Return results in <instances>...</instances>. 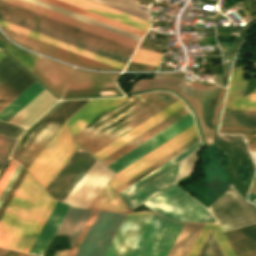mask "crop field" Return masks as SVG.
Returning <instances> with one entry per match:
<instances>
[{
    "mask_svg": "<svg viewBox=\"0 0 256 256\" xmlns=\"http://www.w3.org/2000/svg\"><path fill=\"white\" fill-rule=\"evenodd\" d=\"M55 203L26 172L0 219V247L27 254Z\"/></svg>",
    "mask_w": 256,
    "mask_h": 256,
    "instance_id": "obj_1",
    "label": "crop field"
},
{
    "mask_svg": "<svg viewBox=\"0 0 256 256\" xmlns=\"http://www.w3.org/2000/svg\"><path fill=\"white\" fill-rule=\"evenodd\" d=\"M152 213L141 212L131 215ZM125 217L104 256H130L150 216ZM183 224H175L153 214L131 256H166Z\"/></svg>",
    "mask_w": 256,
    "mask_h": 256,
    "instance_id": "obj_2",
    "label": "crop field"
},
{
    "mask_svg": "<svg viewBox=\"0 0 256 256\" xmlns=\"http://www.w3.org/2000/svg\"><path fill=\"white\" fill-rule=\"evenodd\" d=\"M176 99H178L176 96L168 92H152V93H144V94L132 96L123 104L115 108L114 110L103 114L88 128L74 135L72 138L74 141H76L79 145H81L83 148H85L88 152L92 154L96 150L100 149L110 141L114 140L121 134L125 133L126 131H128L135 125L139 124L146 118L150 117L157 111L161 110L162 108H164L171 102L175 101ZM134 101L136 102L130 108L118 114L119 112L127 108L130 104H132ZM129 112L131 113L121 123L111 126L105 130H102L103 128L119 121ZM111 116H114V117L104 121L105 119ZM102 121H104L102 124H100L98 127L90 131L93 127H95L98 123ZM127 121L129 122L124 124L121 128L114 130L116 127L120 126L121 124ZM112 130L114 131L111 132Z\"/></svg>",
    "mask_w": 256,
    "mask_h": 256,
    "instance_id": "obj_3",
    "label": "crop field"
},
{
    "mask_svg": "<svg viewBox=\"0 0 256 256\" xmlns=\"http://www.w3.org/2000/svg\"><path fill=\"white\" fill-rule=\"evenodd\" d=\"M0 12L130 58L134 48L0 0Z\"/></svg>",
    "mask_w": 256,
    "mask_h": 256,
    "instance_id": "obj_4",
    "label": "crop field"
},
{
    "mask_svg": "<svg viewBox=\"0 0 256 256\" xmlns=\"http://www.w3.org/2000/svg\"><path fill=\"white\" fill-rule=\"evenodd\" d=\"M143 204L176 222H215L204 207L174 184Z\"/></svg>",
    "mask_w": 256,
    "mask_h": 256,
    "instance_id": "obj_5",
    "label": "crop field"
},
{
    "mask_svg": "<svg viewBox=\"0 0 256 256\" xmlns=\"http://www.w3.org/2000/svg\"><path fill=\"white\" fill-rule=\"evenodd\" d=\"M73 142L64 122L26 170L45 188L79 147Z\"/></svg>",
    "mask_w": 256,
    "mask_h": 256,
    "instance_id": "obj_6",
    "label": "crop field"
},
{
    "mask_svg": "<svg viewBox=\"0 0 256 256\" xmlns=\"http://www.w3.org/2000/svg\"><path fill=\"white\" fill-rule=\"evenodd\" d=\"M200 146H201L200 142H197L196 144L192 145L185 151L181 152L174 158L170 159L169 161H167L163 165L159 166L158 168L153 170L151 173H149L145 177H143L140 180H138L137 182L131 184L130 186L123 189L122 191H120L117 194L119 195V197L123 200V202L126 204V206L130 210L134 209L141 203L145 202L146 200H148L149 198H151L152 196H154L161 190L165 189L166 187H168L169 185L174 183L175 179H176L179 161L182 160L184 157H186L188 154H190L191 152H193ZM175 164H177V165H175ZM172 166H174V167L171 168L169 171L154 178L153 180L147 182L142 187L137 189L146 180L154 177L155 175L161 173L162 171H164ZM135 189H137V190L135 192H133ZM130 193H132V194H130ZM126 196H128V197H126Z\"/></svg>",
    "mask_w": 256,
    "mask_h": 256,
    "instance_id": "obj_7",
    "label": "crop field"
},
{
    "mask_svg": "<svg viewBox=\"0 0 256 256\" xmlns=\"http://www.w3.org/2000/svg\"><path fill=\"white\" fill-rule=\"evenodd\" d=\"M223 88L208 83L184 81L180 95L188 100L196 111L207 144H212L214 125Z\"/></svg>",
    "mask_w": 256,
    "mask_h": 256,
    "instance_id": "obj_8",
    "label": "crop field"
},
{
    "mask_svg": "<svg viewBox=\"0 0 256 256\" xmlns=\"http://www.w3.org/2000/svg\"><path fill=\"white\" fill-rule=\"evenodd\" d=\"M86 101L87 100L66 101L53 114H51L46 120H44L29 134V136L23 143L22 147L20 148L19 152L13 159L19 161L26 169L27 166L31 163V161L35 158V156L39 153V151L43 148V146L48 142V140L60 127V125ZM43 124L45 125L35 134L32 141L25 148L30 137Z\"/></svg>",
    "mask_w": 256,
    "mask_h": 256,
    "instance_id": "obj_9",
    "label": "crop field"
},
{
    "mask_svg": "<svg viewBox=\"0 0 256 256\" xmlns=\"http://www.w3.org/2000/svg\"><path fill=\"white\" fill-rule=\"evenodd\" d=\"M224 231L256 222V206L247 203L231 186L208 207Z\"/></svg>",
    "mask_w": 256,
    "mask_h": 256,
    "instance_id": "obj_10",
    "label": "crop field"
},
{
    "mask_svg": "<svg viewBox=\"0 0 256 256\" xmlns=\"http://www.w3.org/2000/svg\"><path fill=\"white\" fill-rule=\"evenodd\" d=\"M196 136H198L197 131L195 129V126L192 125L191 127L179 133L161 146L149 152L142 158L138 159L131 165L116 173L109 181V184L114 189L117 188L121 184L125 183L135 175L139 174L140 172L153 165L154 163L167 156L168 154L181 147Z\"/></svg>",
    "mask_w": 256,
    "mask_h": 256,
    "instance_id": "obj_11",
    "label": "crop field"
},
{
    "mask_svg": "<svg viewBox=\"0 0 256 256\" xmlns=\"http://www.w3.org/2000/svg\"><path fill=\"white\" fill-rule=\"evenodd\" d=\"M118 74L95 73L75 68L63 97L114 95Z\"/></svg>",
    "mask_w": 256,
    "mask_h": 256,
    "instance_id": "obj_12",
    "label": "crop field"
},
{
    "mask_svg": "<svg viewBox=\"0 0 256 256\" xmlns=\"http://www.w3.org/2000/svg\"><path fill=\"white\" fill-rule=\"evenodd\" d=\"M112 175V172L96 160L64 202L87 208Z\"/></svg>",
    "mask_w": 256,
    "mask_h": 256,
    "instance_id": "obj_13",
    "label": "crop field"
},
{
    "mask_svg": "<svg viewBox=\"0 0 256 256\" xmlns=\"http://www.w3.org/2000/svg\"><path fill=\"white\" fill-rule=\"evenodd\" d=\"M2 30L12 39L14 42L31 50L39 51L47 55L53 56L61 61H65L70 64H75L87 68L103 69V70H118L116 68L104 65L102 63L90 60L88 58L76 55L74 53L62 50L60 48L48 45L46 43L34 40L32 38L20 35L18 33L6 30Z\"/></svg>",
    "mask_w": 256,
    "mask_h": 256,
    "instance_id": "obj_14",
    "label": "crop field"
},
{
    "mask_svg": "<svg viewBox=\"0 0 256 256\" xmlns=\"http://www.w3.org/2000/svg\"><path fill=\"white\" fill-rule=\"evenodd\" d=\"M192 124L194 122L190 113L107 167L115 173L118 172Z\"/></svg>",
    "mask_w": 256,
    "mask_h": 256,
    "instance_id": "obj_15",
    "label": "crop field"
},
{
    "mask_svg": "<svg viewBox=\"0 0 256 256\" xmlns=\"http://www.w3.org/2000/svg\"><path fill=\"white\" fill-rule=\"evenodd\" d=\"M4 1L9 2V3H12V4H15V5H18V6H20V7L29 9V10H31V11H34V12H37V13H40V14H43V15H45V16L54 18V19H56V20L65 22V23H67V24H70V25L79 27V28H81V29L90 31V32H92V33H95V34L104 36V37H106V38L115 40V41H117V42H120V43L129 45V46L134 47V48H136V46H137V44H138V41H135V40H133V39H130V38L121 36V35H119V34H116V33L110 32V31H107V30H105V29H102V28H99V27H96V26H93V25H91V24L82 22V21H80V20H77V19L68 17V16H66V15H63V14L54 12V11H52V10H49V9H46V8H43V7H40V6H38V5L29 3V2L24 1V0H4Z\"/></svg>",
    "mask_w": 256,
    "mask_h": 256,
    "instance_id": "obj_16",
    "label": "crop field"
},
{
    "mask_svg": "<svg viewBox=\"0 0 256 256\" xmlns=\"http://www.w3.org/2000/svg\"><path fill=\"white\" fill-rule=\"evenodd\" d=\"M127 98L115 99H91L83 105L68 121V127L71 135L91 124L100 114L114 109ZM73 137V136H72Z\"/></svg>",
    "mask_w": 256,
    "mask_h": 256,
    "instance_id": "obj_17",
    "label": "crop field"
},
{
    "mask_svg": "<svg viewBox=\"0 0 256 256\" xmlns=\"http://www.w3.org/2000/svg\"><path fill=\"white\" fill-rule=\"evenodd\" d=\"M202 224H184L167 256H185ZM213 224H203L186 256H196Z\"/></svg>",
    "mask_w": 256,
    "mask_h": 256,
    "instance_id": "obj_18",
    "label": "crop field"
},
{
    "mask_svg": "<svg viewBox=\"0 0 256 256\" xmlns=\"http://www.w3.org/2000/svg\"><path fill=\"white\" fill-rule=\"evenodd\" d=\"M71 69L72 66L51 61L40 56L32 74L60 96Z\"/></svg>",
    "mask_w": 256,
    "mask_h": 256,
    "instance_id": "obj_19",
    "label": "crop field"
},
{
    "mask_svg": "<svg viewBox=\"0 0 256 256\" xmlns=\"http://www.w3.org/2000/svg\"><path fill=\"white\" fill-rule=\"evenodd\" d=\"M183 106H185V104L182 101H180L179 99L176 100L169 106L165 107L164 109H162L161 111H159L158 113H156L155 115H153L152 117L144 121L143 123L139 124L129 132H126L121 137L117 138L116 140L109 143L108 145H106L105 147H103L102 149H100L99 151L95 152L92 155H94L99 160L102 159L103 157L107 156L117 148L121 147L128 141L132 140L133 138L143 133L153 125L157 124L164 118L168 117L169 115H171L178 109L182 108Z\"/></svg>",
    "mask_w": 256,
    "mask_h": 256,
    "instance_id": "obj_20",
    "label": "crop field"
},
{
    "mask_svg": "<svg viewBox=\"0 0 256 256\" xmlns=\"http://www.w3.org/2000/svg\"><path fill=\"white\" fill-rule=\"evenodd\" d=\"M0 26H1V27H4V28H6V29H9V30L18 32V33H20V34H23V35L32 37V38H34V39H37V40L46 42V43H48V44H51V45L60 47V48H62V49H65V50L74 52V53H76V54H79V55L88 57V58H90V59H93V60L102 62V63H104V64H107V65L116 67V68L121 69V70H123L124 67H125V64H122V63H120V62H117V61L108 59V58H106V57H103V56L94 54V53H92V52H89V51L80 49V48H78V47H75V46L66 44V43H64V42L55 40V39H53V38H50V37L41 35V34H39V33L30 31V30H27V29H25V28H22V27L13 25V24H11V23H8V22L2 21V20H0Z\"/></svg>",
    "mask_w": 256,
    "mask_h": 256,
    "instance_id": "obj_21",
    "label": "crop field"
},
{
    "mask_svg": "<svg viewBox=\"0 0 256 256\" xmlns=\"http://www.w3.org/2000/svg\"><path fill=\"white\" fill-rule=\"evenodd\" d=\"M247 81H242V67L233 69L223 109L256 110V98L243 97Z\"/></svg>",
    "mask_w": 256,
    "mask_h": 256,
    "instance_id": "obj_22",
    "label": "crop field"
},
{
    "mask_svg": "<svg viewBox=\"0 0 256 256\" xmlns=\"http://www.w3.org/2000/svg\"><path fill=\"white\" fill-rule=\"evenodd\" d=\"M0 19L5 20V21H8V22H11V23H13V24H16V25H19V26H22V27H25V28H27V29H30V30H33V31H36V32H39V33H41V34H44V35L53 37V38H55V39L64 41V42H66V43H69V44L78 46V47H80V48H83V49L92 51V52H94V53H97V54L106 56V57H108V58H111V59L120 61V62L125 63V64H126L127 61H128V58H125V57H123V56H120V55L111 53V52H109V51H106V50L97 48V47H95V46H92V45L83 43V42H81V41H78V40L72 39V38H70V37H67V36L58 34V33H56V32H53V31L44 29V28H42V27L33 25V24H31V23H28V22L19 20V19H17V18H14V17L8 16V15H5V14H3V13H0Z\"/></svg>",
    "mask_w": 256,
    "mask_h": 256,
    "instance_id": "obj_23",
    "label": "crop field"
},
{
    "mask_svg": "<svg viewBox=\"0 0 256 256\" xmlns=\"http://www.w3.org/2000/svg\"><path fill=\"white\" fill-rule=\"evenodd\" d=\"M69 206H66L57 201L54 209L52 210L49 218L47 219L44 227L42 228L39 236L37 237L34 245L32 246L29 254L35 256H42L65 214ZM28 254V253H27Z\"/></svg>",
    "mask_w": 256,
    "mask_h": 256,
    "instance_id": "obj_24",
    "label": "crop field"
},
{
    "mask_svg": "<svg viewBox=\"0 0 256 256\" xmlns=\"http://www.w3.org/2000/svg\"><path fill=\"white\" fill-rule=\"evenodd\" d=\"M61 1L67 2L69 4L81 7L83 9L95 12L97 14L109 17L111 19L123 22L125 24L137 27L145 31H147L150 26L148 21L111 9L109 7L97 4L89 0H61Z\"/></svg>",
    "mask_w": 256,
    "mask_h": 256,
    "instance_id": "obj_25",
    "label": "crop field"
},
{
    "mask_svg": "<svg viewBox=\"0 0 256 256\" xmlns=\"http://www.w3.org/2000/svg\"><path fill=\"white\" fill-rule=\"evenodd\" d=\"M224 233L237 256H256V224Z\"/></svg>",
    "mask_w": 256,
    "mask_h": 256,
    "instance_id": "obj_26",
    "label": "crop field"
},
{
    "mask_svg": "<svg viewBox=\"0 0 256 256\" xmlns=\"http://www.w3.org/2000/svg\"><path fill=\"white\" fill-rule=\"evenodd\" d=\"M56 101L57 100L55 98H53L48 92L44 90L13 119H11L9 123L23 127H29L35 119H37Z\"/></svg>",
    "mask_w": 256,
    "mask_h": 256,
    "instance_id": "obj_27",
    "label": "crop field"
},
{
    "mask_svg": "<svg viewBox=\"0 0 256 256\" xmlns=\"http://www.w3.org/2000/svg\"><path fill=\"white\" fill-rule=\"evenodd\" d=\"M183 108L185 109L186 112L183 110ZM183 108L180 109L179 111L175 112L174 114H172L171 116H169V117L166 118L165 120L161 121L160 123H158V124L155 125L154 127L150 128L149 130H147L146 132H144V133L141 134L140 136L136 137L135 139H133V140L130 141L129 143L125 144L124 146H122L121 148H119L118 150H116L115 152H113V153H111L110 155H108V156L111 157L112 159L115 158L116 156H118L119 154H121L122 152H124L125 150H127L128 148L132 147L133 145H135L136 143H138L139 141H141L142 139H144L145 137H147L148 135H150L151 133H153L154 131H156L157 129H159L160 127H162L163 125H165L166 123L170 122L171 120H173L174 118H176L177 116H179L180 114H182L183 112H185V113H183L182 115H180L179 117H177L176 119H174L173 121H171L170 123L166 124L165 126H163L162 128H160L159 130H157L156 132H154L153 134H151L150 136H148L147 138H145L144 140H142L141 142H139L138 144H136L135 146H133L132 148L128 149L127 151H125L124 153H122L121 155H119L118 157H116L115 159L112 160L111 158H109V157L107 156V157L103 158V159L100 160V161H101L102 163H104L106 166L109 165L110 163H112L113 161L117 160L118 158H120L121 156H123L124 154H126L127 152L131 151L132 149H134L135 147H137V146L140 145L141 143L145 142L146 140H148L149 138H151V137L154 136L155 134L159 133L160 131H162L163 129H165L166 127H168L169 125L173 124L174 122H176L177 120H179V119L182 118L183 116H185V115H187L188 113H190L189 110L186 108V106L183 107Z\"/></svg>",
    "mask_w": 256,
    "mask_h": 256,
    "instance_id": "obj_28",
    "label": "crop field"
},
{
    "mask_svg": "<svg viewBox=\"0 0 256 256\" xmlns=\"http://www.w3.org/2000/svg\"><path fill=\"white\" fill-rule=\"evenodd\" d=\"M35 80L21 68L0 86V111Z\"/></svg>",
    "mask_w": 256,
    "mask_h": 256,
    "instance_id": "obj_29",
    "label": "crop field"
},
{
    "mask_svg": "<svg viewBox=\"0 0 256 256\" xmlns=\"http://www.w3.org/2000/svg\"><path fill=\"white\" fill-rule=\"evenodd\" d=\"M88 208L120 213L130 212L108 183Z\"/></svg>",
    "mask_w": 256,
    "mask_h": 256,
    "instance_id": "obj_30",
    "label": "crop field"
},
{
    "mask_svg": "<svg viewBox=\"0 0 256 256\" xmlns=\"http://www.w3.org/2000/svg\"><path fill=\"white\" fill-rule=\"evenodd\" d=\"M44 89L35 81L0 112V119L8 122Z\"/></svg>",
    "mask_w": 256,
    "mask_h": 256,
    "instance_id": "obj_31",
    "label": "crop field"
},
{
    "mask_svg": "<svg viewBox=\"0 0 256 256\" xmlns=\"http://www.w3.org/2000/svg\"><path fill=\"white\" fill-rule=\"evenodd\" d=\"M181 76L174 74H155L153 79L140 80L136 82L131 89V92L152 89V88H169L176 92L179 91Z\"/></svg>",
    "mask_w": 256,
    "mask_h": 256,
    "instance_id": "obj_32",
    "label": "crop field"
},
{
    "mask_svg": "<svg viewBox=\"0 0 256 256\" xmlns=\"http://www.w3.org/2000/svg\"><path fill=\"white\" fill-rule=\"evenodd\" d=\"M220 126L256 127V111L223 110Z\"/></svg>",
    "mask_w": 256,
    "mask_h": 256,
    "instance_id": "obj_33",
    "label": "crop field"
},
{
    "mask_svg": "<svg viewBox=\"0 0 256 256\" xmlns=\"http://www.w3.org/2000/svg\"><path fill=\"white\" fill-rule=\"evenodd\" d=\"M27 1L32 2V3H35V4H38V5H40V6H43V7L49 8V9H52V10H54V11H57V12H60V13H63V14H66V15H68V16H71V17L80 19V20H82V21L91 23V24H93V25H96V26L105 28V29H107V30H110V31L119 33V34H121V35L130 37V38H133V39L138 40V41H140V39H141V36H138V35H135V34H133V33H130V32L121 30V29H119V28H116V27H113V26L104 24V23H102V22H99V21H96V20L87 18V17H85V16H82V15H79V14H76V13H73V12H71V11H68V10H65V9H62V8H59V7H56V6H54V5H51V4L42 2V1H40V0H27Z\"/></svg>",
    "mask_w": 256,
    "mask_h": 256,
    "instance_id": "obj_34",
    "label": "crop field"
},
{
    "mask_svg": "<svg viewBox=\"0 0 256 256\" xmlns=\"http://www.w3.org/2000/svg\"><path fill=\"white\" fill-rule=\"evenodd\" d=\"M42 1H45V2H48V3L54 4V5H56V6H59V7L68 9V10H71V11H73V12H76V13H79V14H82V15H85V16H87V17H90V18H93V19L102 21V22H104V23H107V24H110V25L119 27V28H121V29L130 31V32H133V33L138 34V35H141V36H143L144 33H145V31L139 30V29H137V28H134V27L125 25V24H123V23H120V22L111 20V19H109V18H106V17L100 16V15H97V14H95V13H92V12H89V11H86V10H83V9H81V8H78V7L69 5V4H67V3H64V2H61V1H58V0H42Z\"/></svg>",
    "mask_w": 256,
    "mask_h": 256,
    "instance_id": "obj_35",
    "label": "crop field"
},
{
    "mask_svg": "<svg viewBox=\"0 0 256 256\" xmlns=\"http://www.w3.org/2000/svg\"><path fill=\"white\" fill-rule=\"evenodd\" d=\"M92 1L101 3L103 5L115 8L117 10L129 13L131 15H134L149 21L148 13L137 9L138 6H141L147 9L148 7L138 4L139 2H136L134 0H92Z\"/></svg>",
    "mask_w": 256,
    "mask_h": 256,
    "instance_id": "obj_36",
    "label": "crop field"
},
{
    "mask_svg": "<svg viewBox=\"0 0 256 256\" xmlns=\"http://www.w3.org/2000/svg\"><path fill=\"white\" fill-rule=\"evenodd\" d=\"M4 49L9 52L16 60H18L26 69L32 72L39 55H33L24 52L14 47L10 42H7Z\"/></svg>",
    "mask_w": 256,
    "mask_h": 256,
    "instance_id": "obj_37",
    "label": "crop field"
},
{
    "mask_svg": "<svg viewBox=\"0 0 256 256\" xmlns=\"http://www.w3.org/2000/svg\"><path fill=\"white\" fill-rule=\"evenodd\" d=\"M219 133L243 134L250 151H256V128L220 127Z\"/></svg>",
    "mask_w": 256,
    "mask_h": 256,
    "instance_id": "obj_38",
    "label": "crop field"
},
{
    "mask_svg": "<svg viewBox=\"0 0 256 256\" xmlns=\"http://www.w3.org/2000/svg\"><path fill=\"white\" fill-rule=\"evenodd\" d=\"M161 59H162L161 53L137 49L131 61L158 67Z\"/></svg>",
    "mask_w": 256,
    "mask_h": 256,
    "instance_id": "obj_39",
    "label": "crop field"
},
{
    "mask_svg": "<svg viewBox=\"0 0 256 256\" xmlns=\"http://www.w3.org/2000/svg\"><path fill=\"white\" fill-rule=\"evenodd\" d=\"M19 68L20 67L15 62H13L7 55L3 59H1L0 60V85L5 80H7Z\"/></svg>",
    "mask_w": 256,
    "mask_h": 256,
    "instance_id": "obj_40",
    "label": "crop field"
},
{
    "mask_svg": "<svg viewBox=\"0 0 256 256\" xmlns=\"http://www.w3.org/2000/svg\"><path fill=\"white\" fill-rule=\"evenodd\" d=\"M197 141H199V138L196 137L195 139H193L192 141L188 142L187 144H185L184 146H182L181 148H179L178 150L174 151L173 153H171L170 155H168L167 157H165L164 159L160 160L159 162H157L156 164H154L153 166H151L150 168L146 169L145 171H143L142 173H140L139 175H137L136 177L132 178L131 180H129L128 182H126L125 184H123L122 186L118 187L117 189H115L116 193L119 192L120 190H122L123 188H125L126 186L130 185L137 177H139L140 175L148 172L149 170L161 165L162 163L166 162L167 160H169L170 158H172L173 156L177 155L178 153H180L181 151L185 150L186 148H188L189 146H191L192 144L196 143Z\"/></svg>",
    "mask_w": 256,
    "mask_h": 256,
    "instance_id": "obj_41",
    "label": "crop field"
},
{
    "mask_svg": "<svg viewBox=\"0 0 256 256\" xmlns=\"http://www.w3.org/2000/svg\"><path fill=\"white\" fill-rule=\"evenodd\" d=\"M199 256H223L220 248L218 247L212 233L208 240L206 241L202 251Z\"/></svg>",
    "mask_w": 256,
    "mask_h": 256,
    "instance_id": "obj_42",
    "label": "crop field"
},
{
    "mask_svg": "<svg viewBox=\"0 0 256 256\" xmlns=\"http://www.w3.org/2000/svg\"><path fill=\"white\" fill-rule=\"evenodd\" d=\"M197 152H195L193 155L191 154L192 156L181 162L177 181L190 175L193 172L197 158Z\"/></svg>",
    "mask_w": 256,
    "mask_h": 256,
    "instance_id": "obj_43",
    "label": "crop field"
},
{
    "mask_svg": "<svg viewBox=\"0 0 256 256\" xmlns=\"http://www.w3.org/2000/svg\"><path fill=\"white\" fill-rule=\"evenodd\" d=\"M212 233H213L219 247L221 248L224 256H234L230 247L228 246L224 236L222 235L218 225L215 226Z\"/></svg>",
    "mask_w": 256,
    "mask_h": 256,
    "instance_id": "obj_44",
    "label": "crop field"
},
{
    "mask_svg": "<svg viewBox=\"0 0 256 256\" xmlns=\"http://www.w3.org/2000/svg\"><path fill=\"white\" fill-rule=\"evenodd\" d=\"M24 128L0 122V134L18 139Z\"/></svg>",
    "mask_w": 256,
    "mask_h": 256,
    "instance_id": "obj_45",
    "label": "crop field"
},
{
    "mask_svg": "<svg viewBox=\"0 0 256 256\" xmlns=\"http://www.w3.org/2000/svg\"><path fill=\"white\" fill-rule=\"evenodd\" d=\"M96 213H97V211L92 210V212H91L89 218L87 219V221H86L84 227L82 228V230H81L79 236L77 237V239H76V241H75L73 247L71 248V250H70L68 256H73V254L75 253V251H76L78 245L80 244V242H81L83 236L85 235V233H86L88 227L90 226L92 220L94 219Z\"/></svg>",
    "mask_w": 256,
    "mask_h": 256,
    "instance_id": "obj_46",
    "label": "crop field"
},
{
    "mask_svg": "<svg viewBox=\"0 0 256 256\" xmlns=\"http://www.w3.org/2000/svg\"><path fill=\"white\" fill-rule=\"evenodd\" d=\"M16 139L0 135V154L9 156Z\"/></svg>",
    "mask_w": 256,
    "mask_h": 256,
    "instance_id": "obj_47",
    "label": "crop field"
},
{
    "mask_svg": "<svg viewBox=\"0 0 256 256\" xmlns=\"http://www.w3.org/2000/svg\"><path fill=\"white\" fill-rule=\"evenodd\" d=\"M17 164L18 163L14 162L13 160H10L8 167L6 168L5 172L1 176V178H0V195L3 191V189L5 188L8 180L10 179L12 173L14 172Z\"/></svg>",
    "mask_w": 256,
    "mask_h": 256,
    "instance_id": "obj_48",
    "label": "crop field"
},
{
    "mask_svg": "<svg viewBox=\"0 0 256 256\" xmlns=\"http://www.w3.org/2000/svg\"><path fill=\"white\" fill-rule=\"evenodd\" d=\"M96 159L93 157L92 160L87 164V166L83 169V171L78 175V177L74 180V182L69 186V188L65 191V193L60 197V201H63L64 198L68 195V193L73 189V187L77 184V182L81 179V177L85 174V172L90 168V166L94 163Z\"/></svg>",
    "mask_w": 256,
    "mask_h": 256,
    "instance_id": "obj_49",
    "label": "crop field"
},
{
    "mask_svg": "<svg viewBox=\"0 0 256 256\" xmlns=\"http://www.w3.org/2000/svg\"><path fill=\"white\" fill-rule=\"evenodd\" d=\"M63 102H65V101H60V102H58L53 108H51L47 113H51V112H53L57 107H59ZM45 114L44 116H42L38 121H36L32 126H31V128L27 131V133L34 127V126H36L38 123H40V122H42L49 114ZM26 133V134H27ZM25 134V135H26ZM25 135H24V137H25ZM23 137V138H24ZM22 138V139H23ZM21 140V139H20ZM22 141V140H21ZM21 141L19 142V144L17 145V147H16V149H15V151H14V153L12 154V156H11V158H13L14 157V155L17 153V151H18V149H19V147H20V145H21Z\"/></svg>",
    "mask_w": 256,
    "mask_h": 256,
    "instance_id": "obj_50",
    "label": "crop field"
},
{
    "mask_svg": "<svg viewBox=\"0 0 256 256\" xmlns=\"http://www.w3.org/2000/svg\"><path fill=\"white\" fill-rule=\"evenodd\" d=\"M21 168H22V167L18 164V166H17L15 172L13 173L11 179L9 180V182H8V184H7V186H6V188L4 189V191H3V193H2V195H1V197H0V205H1L2 201L4 200L6 194L8 193L10 187L12 186L13 182L15 181V179H16L18 173L20 172Z\"/></svg>",
    "mask_w": 256,
    "mask_h": 256,
    "instance_id": "obj_51",
    "label": "crop field"
},
{
    "mask_svg": "<svg viewBox=\"0 0 256 256\" xmlns=\"http://www.w3.org/2000/svg\"><path fill=\"white\" fill-rule=\"evenodd\" d=\"M239 40H240V37L235 38L233 49H227L222 42H218V44H219L222 51L234 52V50L236 48V45H237Z\"/></svg>",
    "mask_w": 256,
    "mask_h": 256,
    "instance_id": "obj_52",
    "label": "crop field"
},
{
    "mask_svg": "<svg viewBox=\"0 0 256 256\" xmlns=\"http://www.w3.org/2000/svg\"><path fill=\"white\" fill-rule=\"evenodd\" d=\"M7 156H3V155H0V170L2 169V167L4 166L6 160H7Z\"/></svg>",
    "mask_w": 256,
    "mask_h": 256,
    "instance_id": "obj_53",
    "label": "crop field"
},
{
    "mask_svg": "<svg viewBox=\"0 0 256 256\" xmlns=\"http://www.w3.org/2000/svg\"><path fill=\"white\" fill-rule=\"evenodd\" d=\"M69 250L56 252L55 256H67Z\"/></svg>",
    "mask_w": 256,
    "mask_h": 256,
    "instance_id": "obj_54",
    "label": "crop field"
},
{
    "mask_svg": "<svg viewBox=\"0 0 256 256\" xmlns=\"http://www.w3.org/2000/svg\"><path fill=\"white\" fill-rule=\"evenodd\" d=\"M256 166V152H250Z\"/></svg>",
    "mask_w": 256,
    "mask_h": 256,
    "instance_id": "obj_55",
    "label": "crop field"
},
{
    "mask_svg": "<svg viewBox=\"0 0 256 256\" xmlns=\"http://www.w3.org/2000/svg\"><path fill=\"white\" fill-rule=\"evenodd\" d=\"M247 96H254V97H256V88Z\"/></svg>",
    "mask_w": 256,
    "mask_h": 256,
    "instance_id": "obj_56",
    "label": "crop field"
},
{
    "mask_svg": "<svg viewBox=\"0 0 256 256\" xmlns=\"http://www.w3.org/2000/svg\"><path fill=\"white\" fill-rule=\"evenodd\" d=\"M253 180H256V173ZM251 186H256V181H253Z\"/></svg>",
    "mask_w": 256,
    "mask_h": 256,
    "instance_id": "obj_57",
    "label": "crop field"
},
{
    "mask_svg": "<svg viewBox=\"0 0 256 256\" xmlns=\"http://www.w3.org/2000/svg\"><path fill=\"white\" fill-rule=\"evenodd\" d=\"M6 54L0 52V59L3 58Z\"/></svg>",
    "mask_w": 256,
    "mask_h": 256,
    "instance_id": "obj_58",
    "label": "crop field"
},
{
    "mask_svg": "<svg viewBox=\"0 0 256 256\" xmlns=\"http://www.w3.org/2000/svg\"><path fill=\"white\" fill-rule=\"evenodd\" d=\"M250 190L256 192V187H251Z\"/></svg>",
    "mask_w": 256,
    "mask_h": 256,
    "instance_id": "obj_59",
    "label": "crop field"
},
{
    "mask_svg": "<svg viewBox=\"0 0 256 256\" xmlns=\"http://www.w3.org/2000/svg\"><path fill=\"white\" fill-rule=\"evenodd\" d=\"M139 1H142V2H143L144 0H139Z\"/></svg>",
    "mask_w": 256,
    "mask_h": 256,
    "instance_id": "obj_60",
    "label": "crop field"
},
{
    "mask_svg": "<svg viewBox=\"0 0 256 256\" xmlns=\"http://www.w3.org/2000/svg\"><path fill=\"white\" fill-rule=\"evenodd\" d=\"M151 1H154V0H151Z\"/></svg>",
    "mask_w": 256,
    "mask_h": 256,
    "instance_id": "obj_61",
    "label": "crop field"
},
{
    "mask_svg": "<svg viewBox=\"0 0 256 256\" xmlns=\"http://www.w3.org/2000/svg\"><path fill=\"white\" fill-rule=\"evenodd\" d=\"M254 202H256V200Z\"/></svg>",
    "mask_w": 256,
    "mask_h": 256,
    "instance_id": "obj_62",
    "label": "crop field"
}]
</instances>
